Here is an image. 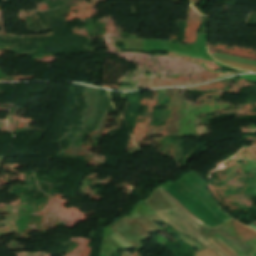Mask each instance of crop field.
<instances>
[{"mask_svg":"<svg viewBox=\"0 0 256 256\" xmlns=\"http://www.w3.org/2000/svg\"><path fill=\"white\" fill-rule=\"evenodd\" d=\"M200 234L226 256H249L256 253V231L235 220L214 228L201 226Z\"/></svg>","mask_w":256,"mask_h":256,"instance_id":"obj_1","label":"crop field"},{"mask_svg":"<svg viewBox=\"0 0 256 256\" xmlns=\"http://www.w3.org/2000/svg\"><path fill=\"white\" fill-rule=\"evenodd\" d=\"M156 214L160 218H162L168 225L174 227L177 231L185 233L190 237L196 239L205 247L211 245L199 234L200 227L195 225L191 219L184 216L176 209L159 211Z\"/></svg>","mask_w":256,"mask_h":256,"instance_id":"obj_2","label":"crop field"},{"mask_svg":"<svg viewBox=\"0 0 256 256\" xmlns=\"http://www.w3.org/2000/svg\"><path fill=\"white\" fill-rule=\"evenodd\" d=\"M112 241L118 244L123 249H132L134 248L131 244H129L126 240H124L121 236H119L116 232L112 230L109 237Z\"/></svg>","mask_w":256,"mask_h":256,"instance_id":"obj_3","label":"crop field"},{"mask_svg":"<svg viewBox=\"0 0 256 256\" xmlns=\"http://www.w3.org/2000/svg\"><path fill=\"white\" fill-rule=\"evenodd\" d=\"M195 256H224V255H222L214 247H208V248L203 249L201 251L195 252Z\"/></svg>","mask_w":256,"mask_h":256,"instance_id":"obj_4","label":"crop field"},{"mask_svg":"<svg viewBox=\"0 0 256 256\" xmlns=\"http://www.w3.org/2000/svg\"><path fill=\"white\" fill-rule=\"evenodd\" d=\"M217 60L230 65L232 67H236V68H240V69H245V70H256L255 66H250V65H245V64H240V63H235V62H231V61H227V60H223V59H219L216 58Z\"/></svg>","mask_w":256,"mask_h":256,"instance_id":"obj_5","label":"crop field"},{"mask_svg":"<svg viewBox=\"0 0 256 256\" xmlns=\"http://www.w3.org/2000/svg\"><path fill=\"white\" fill-rule=\"evenodd\" d=\"M163 194L169 199V201L175 205L176 207H179L180 209H182L185 213H187L189 216H191L192 218H194L195 220H197L198 222L202 223L200 220H198L197 218H195L193 215H191L187 210H185L179 203H177L172 197H170L166 192H164L162 190ZM204 224V223H202Z\"/></svg>","mask_w":256,"mask_h":256,"instance_id":"obj_6","label":"crop field"},{"mask_svg":"<svg viewBox=\"0 0 256 256\" xmlns=\"http://www.w3.org/2000/svg\"><path fill=\"white\" fill-rule=\"evenodd\" d=\"M180 237H181V240L185 241L189 245H191L193 247H196L198 249H203V247L199 243H197L196 241H194V240H192V239H190V238H188V237H186L182 234H180Z\"/></svg>","mask_w":256,"mask_h":256,"instance_id":"obj_7","label":"crop field"},{"mask_svg":"<svg viewBox=\"0 0 256 256\" xmlns=\"http://www.w3.org/2000/svg\"><path fill=\"white\" fill-rule=\"evenodd\" d=\"M151 218H153L155 221H158V222H164L162 219H160L156 214L154 215H150ZM165 223V222H164Z\"/></svg>","mask_w":256,"mask_h":256,"instance_id":"obj_8","label":"crop field"},{"mask_svg":"<svg viewBox=\"0 0 256 256\" xmlns=\"http://www.w3.org/2000/svg\"><path fill=\"white\" fill-rule=\"evenodd\" d=\"M249 226L252 227V228H254V229H256V225H254V224H252V223H251Z\"/></svg>","mask_w":256,"mask_h":256,"instance_id":"obj_9","label":"crop field"},{"mask_svg":"<svg viewBox=\"0 0 256 256\" xmlns=\"http://www.w3.org/2000/svg\"><path fill=\"white\" fill-rule=\"evenodd\" d=\"M101 256H103V255L101 254Z\"/></svg>","mask_w":256,"mask_h":256,"instance_id":"obj_10","label":"crop field"}]
</instances>
